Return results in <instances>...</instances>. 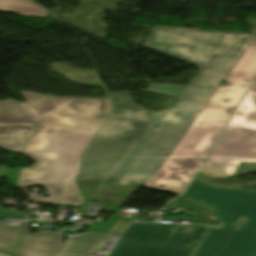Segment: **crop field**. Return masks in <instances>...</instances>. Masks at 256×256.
Listing matches in <instances>:
<instances>
[{
  "label": "crop field",
  "mask_w": 256,
  "mask_h": 256,
  "mask_svg": "<svg viewBox=\"0 0 256 256\" xmlns=\"http://www.w3.org/2000/svg\"><path fill=\"white\" fill-rule=\"evenodd\" d=\"M22 108L40 128L21 152L36 165L23 168L17 187L41 184L48 198L33 201L67 204L82 201L73 184L79 159L107 115V98H57L20 91Z\"/></svg>",
  "instance_id": "1"
},
{
  "label": "crop field",
  "mask_w": 256,
  "mask_h": 256,
  "mask_svg": "<svg viewBox=\"0 0 256 256\" xmlns=\"http://www.w3.org/2000/svg\"><path fill=\"white\" fill-rule=\"evenodd\" d=\"M255 74L256 36H253L249 47L225 77L228 85L215 91L156 173L144 184L145 187L180 194L228 120V109L236 107ZM162 185L165 188H160Z\"/></svg>",
  "instance_id": "2"
},
{
  "label": "crop field",
  "mask_w": 256,
  "mask_h": 256,
  "mask_svg": "<svg viewBox=\"0 0 256 256\" xmlns=\"http://www.w3.org/2000/svg\"><path fill=\"white\" fill-rule=\"evenodd\" d=\"M249 44V34L155 27L143 46L199 66L179 102L201 110Z\"/></svg>",
  "instance_id": "3"
},
{
  "label": "crop field",
  "mask_w": 256,
  "mask_h": 256,
  "mask_svg": "<svg viewBox=\"0 0 256 256\" xmlns=\"http://www.w3.org/2000/svg\"><path fill=\"white\" fill-rule=\"evenodd\" d=\"M182 196L214 209L209 216L223 223L211 228L193 256H256V192L215 188L193 178ZM242 216L249 219L233 228Z\"/></svg>",
  "instance_id": "4"
},
{
  "label": "crop field",
  "mask_w": 256,
  "mask_h": 256,
  "mask_svg": "<svg viewBox=\"0 0 256 256\" xmlns=\"http://www.w3.org/2000/svg\"><path fill=\"white\" fill-rule=\"evenodd\" d=\"M108 95L109 115L85 151L76 181L105 178L150 125L145 109L131 102L129 92Z\"/></svg>",
  "instance_id": "5"
},
{
  "label": "crop field",
  "mask_w": 256,
  "mask_h": 256,
  "mask_svg": "<svg viewBox=\"0 0 256 256\" xmlns=\"http://www.w3.org/2000/svg\"><path fill=\"white\" fill-rule=\"evenodd\" d=\"M197 112L172 110L155 114L153 125L123 158L109 177L145 183L158 169L190 124Z\"/></svg>",
  "instance_id": "6"
},
{
  "label": "crop field",
  "mask_w": 256,
  "mask_h": 256,
  "mask_svg": "<svg viewBox=\"0 0 256 256\" xmlns=\"http://www.w3.org/2000/svg\"><path fill=\"white\" fill-rule=\"evenodd\" d=\"M241 162L253 165L239 166ZM205 164L230 177L256 171V85H251Z\"/></svg>",
  "instance_id": "7"
},
{
  "label": "crop field",
  "mask_w": 256,
  "mask_h": 256,
  "mask_svg": "<svg viewBox=\"0 0 256 256\" xmlns=\"http://www.w3.org/2000/svg\"><path fill=\"white\" fill-rule=\"evenodd\" d=\"M209 227L135 223L109 256H190Z\"/></svg>",
  "instance_id": "8"
},
{
  "label": "crop field",
  "mask_w": 256,
  "mask_h": 256,
  "mask_svg": "<svg viewBox=\"0 0 256 256\" xmlns=\"http://www.w3.org/2000/svg\"><path fill=\"white\" fill-rule=\"evenodd\" d=\"M39 128L13 100L0 101V147L21 152Z\"/></svg>",
  "instance_id": "9"
},
{
  "label": "crop field",
  "mask_w": 256,
  "mask_h": 256,
  "mask_svg": "<svg viewBox=\"0 0 256 256\" xmlns=\"http://www.w3.org/2000/svg\"><path fill=\"white\" fill-rule=\"evenodd\" d=\"M59 249V232L30 234L16 251L23 256H53Z\"/></svg>",
  "instance_id": "10"
},
{
  "label": "crop field",
  "mask_w": 256,
  "mask_h": 256,
  "mask_svg": "<svg viewBox=\"0 0 256 256\" xmlns=\"http://www.w3.org/2000/svg\"><path fill=\"white\" fill-rule=\"evenodd\" d=\"M7 220H0V250L15 253L30 231L27 222H20V226L6 227Z\"/></svg>",
  "instance_id": "11"
},
{
  "label": "crop field",
  "mask_w": 256,
  "mask_h": 256,
  "mask_svg": "<svg viewBox=\"0 0 256 256\" xmlns=\"http://www.w3.org/2000/svg\"><path fill=\"white\" fill-rule=\"evenodd\" d=\"M101 237V234H82L71 238L57 256H84L85 253L92 254Z\"/></svg>",
  "instance_id": "12"
},
{
  "label": "crop field",
  "mask_w": 256,
  "mask_h": 256,
  "mask_svg": "<svg viewBox=\"0 0 256 256\" xmlns=\"http://www.w3.org/2000/svg\"><path fill=\"white\" fill-rule=\"evenodd\" d=\"M0 10L40 17H46L48 14V12L27 0H0Z\"/></svg>",
  "instance_id": "13"
},
{
  "label": "crop field",
  "mask_w": 256,
  "mask_h": 256,
  "mask_svg": "<svg viewBox=\"0 0 256 256\" xmlns=\"http://www.w3.org/2000/svg\"><path fill=\"white\" fill-rule=\"evenodd\" d=\"M187 87H181L176 85H155L150 84L147 88L148 91L167 94L171 96L179 97Z\"/></svg>",
  "instance_id": "14"
},
{
  "label": "crop field",
  "mask_w": 256,
  "mask_h": 256,
  "mask_svg": "<svg viewBox=\"0 0 256 256\" xmlns=\"http://www.w3.org/2000/svg\"><path fill=\"white\" fill-rule=\"evenodd\" d=\"M118 220L119 219L116 217H111L106 222H92L90 224V230L92 232L95 231V232L107 233Z\"/></svg>",
  "instance_id": "15"
},
{
  "label": "crop field",
  "mask_w": 256,
  "mask_h": 256,
  "mask_svg": "<svg viewBox=\"0 0 256 256\" xmlns=\"http://www.w3.org/2000/svg\"><path fill=\"white\" fill-rule=\"evenodd\" d=\"M135 218L136 216H132L131 218L122 217L108 233L113 235L122 234Z\"/></svg>",
  "instance_id": "16"
},
{
  "label": "crop field",
  "mask_w": 256,
  "mask_h": 256,
  "mask_svg": "<svg viewBox=\"0 0 256 256\" xmlns=\"http://www.w3.org/2000/svg\"><path fill=\"white\" fill-rule=\"evenodd\" d=\"M19 173H20V168L7 169L3 177L7 178V180H10L11 182L10 184L16 185L18 181Z\"/></svg>",
  "instance_id": "17"
},
{
  "label": "crop field",
  "mask_w": 256,
  "mask_h": 256,
  "mask_svg": "<svg viewBox=\"0 0 256 256\" xmlns=\"http://www.w3.org/2000/svg\"><path fill=\"white\" fill-rule=\"evenodd\" d=\"M199 172H201L209 177H228L205 164H203V166L201 167Z\"/></svg>",
  "instance_id": "18"
},
{
  "label": "crop field",
  "mask_w": 256,
  "mask_h": 256,
  "mask_svg": "<svg viewBox=\"0 0 256 256\" xmlns=\"http://www.w3.org/2000/svg\"><path fill=\"white\" fill-rule=\"evenodd\" d=\"M25 215H27L25 212H9L0 208V216L2 217H20Z\"/></svg>",
  "instance_id": "19"
},
{
  "label": "crop field",
  "mask_w": 256,
  "mask_h": 256,
  "mask_svg": "<svg viewBox=\"0 0 256 256\" xmlns=\"http://www.w3.org/2000/svg\"><path fill=\"white\" fill-rule=\"evenodd\" d=\"M109 238V235H103L93 254L102 252Z\"/></svg>",
  "instance_id": "20"
},
{
  "label": "crop field",
  "mask_w": 256,
  "mask_h": 256,
  "mask_svg": "<svg viewBox=\"0 0 256 256\" xmlns=\"http://www.w3.org/2000/svg\"><path fill=\"white\" fill-rule=\"evenodd\" d=\"M190 107H191L190 105L177 102L171 109L181 108V109L193 110V109H190ZM193 111L199 112L198 110H193Z\"/></svg>",
  "instance_id": "21"
},
{
  "label": "crop field",
  "mask_w": 256,
  "mask_h": 256,
  "mask_svg": "<svg viewBox=\"0 0 256 256\" xmlns=\"http://www.w3.org/2000/svg\"><path fill=\"white\" fill-rule=\"evenodd\" d=\"M84 200L86 199V197L90 194L91 190H87V189H81L79 188Z\"/></svg>",
  "instance_id": "22"
},
{
  "label": "crop field",
  "mask_w": 256,
  "mask_h": 256,
  "mask_svg": "<svg viewBox=\"0 0 256 256\" xmlns=\"http://www.w3.org/2000/svg\"><path fill=\"white\" fill-rule=\"evenodd\" d=\"M5 171H6V169H0V177H2V175L4 174Z\"/></svg>",
  "instance_id": "23"
},
{
  "label": "crop field",
  "mask_w": 256,
  "mask_h": 256,
  "mask_svg": "<svg viewBox=\"0 0 256 256\" xmlns=\"http://www.w3.org/2000/svg\"><path fill=\"white\" fill-rule=\"evenodd\" d=\"M0 256H8V255L5 253H0Z\"/></svg>",
  "instance_id": "24"
},
{
  "label": "crop field",
  "mask_w": 256,
  "mask_h": 256,
  "mask_svg": "<svg viewBox=\"0 0 256 256\" xmlns=\"http://www.w3.org/2000/svg\"><path fill=\"white\" fill-rule=\"evenodd\" d=\"M253 83H255V84H256V77H255V79H254Z\"/></svg>",
  "instance_id": "25"
}]
</instances>
